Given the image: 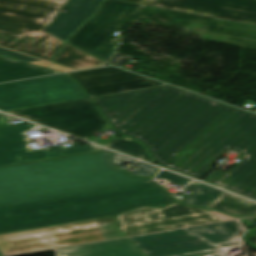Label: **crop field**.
Wrapping results in <instances>:
<instances>
[{
  "label": "crop field",
  "instance_id": "obj_1",
  "mask_svg": "<svg viewBox=\"0 0 256 256\" xmlns=\"http://www.w3.org/2000/svg\"><path fill=\"white\" fill-rule=\"evenodd\" d=\"M120 134L161 166L200 180L229 149L242 160L204 182L256 200V115L169 85L93 97Z\"/></svg>",
  "mask_w": 256,
  "mask_h": 256
},
{
  "label": "crop field",
  "instance_id": "obj_2",
  "mask_svg": "<svg viewBox=\"0 0 256 256\" xmlns=\"http://www.w3.org/2000/svg\"><path fill=\"white\" fill-rule=\"evenodd\" d=\"M172 201L151 179L114 167L109 151L0 168V233Z\"/></svg>",
  "mask_w": 256,
  "mask_h": 256
},
{
  "label": "crop field",
  "instance_id": "obj_3",
  "mask_svg": "<svg viewBox=\"0 0 256 256\" xmlns=\"http://www.w3.org/2000/svg\"><path fill=\"white\" fill-rule=\"evenodd\" d=\"M66 1L0 0V46L52 61L64 42L43 31Z\"/></svg>",
  "mask_w": 256,
  "mask_h": 256
},
{
  "label": "crop field",
  "instance_id": "obj_4",
  "mask_svg": "<svg viewBox=\"0 0 256 256\" xmlns=\"http://www.w3.org/2000/svg\"><path fill=\"white\" fill-rule=\"evenodd\" d=\"M236 221L129 238L146 256H225L239 246Z\"/></svg>",
  "mask_w": 256,
  "mask_h": 256
},
{
  "label": "crop field",
  "instance_id": "obj_5",
  "mask_svg": "<svg viewBox=\"0 0 256 256\" xmlns=\"http://www.w3.org/2000/svg\"><path fill=\"white\" fill-rule=\"evenodd\" d=\"M115 217L0 234L2 256L122 237Z\"/></svg>",
  "mask_w": 256,
  "mask_h": 256
},
{
  "label": "crop field",
  "instance_id": "obj_6",
  "mask_svg": "<svg viewBox=\"0 0 256 256\" xmlns=\"http://www.w3.org/2000/svg\"><path fill=\"white\" fill-rule=\"evenodd\" d=\"M8 113L70 133L85 140L108 125L90 99L8 111Z\"/></svg>",
  "mask_w": 256,
  "mask_h": 256
},
{
  "label": "crop field",
  "instance_id": "obj_7",
  "mask_svg": "<svg viewBox=\"0 0 256 256\" xmlns=\"http://www.w3.org/2000/svg\"><path fill=\"white\" fill-rule=\"evenodd\" d=\"M144 5L106 0L94 18L83 25L68 43L108 62L117 46L108 43L114 31Z\"/></svg>",
  "mask_w": 256,
  "mask_h": 256
},
{
  "label": "crop field",
  "instance_id": "obj_8",
  "mask_svg": "<svg viewBox=\"0 0 256 256\" xmlns=\"http://www.w3.org/2000/svg\"><path fill=\"white\" fill-rule=\"evenodd\" d=\"M84 96L86 95L75 81L63 74L53 75L0 84V110H12Z\"/></svg>",
  "mask_w": 256,
  "mask_h": 256
},
{
  "label": "crop field",
  "instance_id": "obj_9",
  "mask_svg": "<svg viewBox=\"0 0 256 256\" xmlns=\"http://www.w3.org/2000/svg\"><path fill=\"white\" fill-rule=\"evenodd\" d=\"M117 218L118 227L126 236L219 221L204 209L179 203L164 209L143 207Z\"/></svg>",
  "mask_w": 256,
  "mask_h": 256
},
{
  "label": "crop field",
  "instance_id": "obj_10",
  "mask_svg": "<svg viewBox=\"0 0 256 256\" xmlns=\"http://www.w3.org/2000/svg\"><path fill=\"white\" fill-rule=\"evenodd\" d=\"M13 119L0 113V166L102 149L88 144L64 149L55 146L33 150L26 131L43 127L28 122L10 124Z\"/></svg>",
  "mask_w": 256,
  "mask_h": 256
},
{
  "label": "crop field",
  "instance_id": "obj_11",
  "mask_svg": "<svg viewBox=\"0 0 256 256\" xmlns=\"http://www.w3.org/2000/svg\"><path fill=\"white\" fill-rule=\"evenodd\" d=\"M256 25V0H122Z\"/></svg>",
  "mask_w": 256,
  "mask_h": 256
},
{
  "label": "crop field",
  "instance_id": "obj_12",
  "mask_svg": "<svg viewBox=\"0 0 256 256\" xmlns=\"http://www.w3.org/2000/svg\"><path fill=\"white\" fill-rule=\"evenodd\" d=\"M76 79L90 96L164 85L155 80L113 66L67 74Z\"/></svg>",
  "mask_w": 256,
  "mask_h": 256
},
{
  "label": "crop field",
  "instance_id": "obj_13",
  "mask_svg": "<svg viewBox=\"0 0 256 256\" xmlns=\"http://www.w3.org/2000/svg\"><path fill=\"white\" fill-rule=\"evenodd\" d=\"M103 0H68L62 9L66 13L59 12L45 32L67 41L69 36L99 8Z\"/></svg>",
  "mask_w": 256,
  "mask_h": 256
},
{
  "label": "crop field",
  "instance_id": "obj_14",
  "mask_svg": "<svg viewBox=\"0 0 256 256\" xmlns=\"http://www.w3.org/2000/svg\"><path fill=\"white\" fill-rule=\"evenodd\" d=\"M58 256H142L126 238L56 249Z\"/></svg>",
  "mask_w": 256,
  "mask_h": 256
},
{
  "label": "crop field",
  "instance_id": "obj_15",
  "mask_svg": "<svg viewBox=\"0 0 256 256\" xmlns=\"http://www.w3.org/2000/svg\"><path fill=\"white\" fill-rule=\"evenodd\" d=\"M52 73H58V71L0 56V82Z\"/></svg>",
  "mask_w": 256,
  "mask_h": 256
},
{
  "label": "crop field",
  "instance_id": "obj_16",
  "mask_svg": "<svg viewBox=\"0 0 256 256\" xmlns=\"http://www.w3.org/2000/svg\"><path fill=\"white\" fill-rule=\"evenodd\" d=\"M207 208L219 210L231 216L256 214V203L226 192L209 204Z\"/></svg>",
  "mask_w": 256,
  "mask_h": 256
},
{
  "label": "crop field",
  "instance_id": "obj_17",
  "mask_svg": "<svg viewBox=\"0 0 256 256\" xmlns=\"http://www.w3.org/2000/svg\"><path fill=\"white\" fill-rule=\"evenodd\" d=\"M54 62L74 69L106 63L68 43L63 47L61 53L56 57Z\"/></svg>",
  "mask_w": 256,
  "mask_h": 256
},
{
  "label": "crop field",
  "instance_id": "obj_18",
  "mask_svg": "<svg viewBox=\"0 0 256 256\" xmlns=\"http://www.w3.org/2000/svg\"><path fill=\"white\" fill-rule=\"evenodd\" d=\"M185 189L193 190L195 192L180 202L203 208H206L209 203L223 193L221 190L215 189L200 182H193Z\"/></svg>",
  "mask_w": 256,
  "mask_h": 256
},
{
  "label": "crop field",
  "instance_id": "obj_19",
  "mask_svg": "<svg viewBox=\"0 0 256 256\" xmlns=\"http://www.w3.org/2000/svg\"><path fill=\"white\" fill-rule=\"evenodd\" d=\"M104 147L119 151L121 153L146 160L150 163L153 161L146 155L145 148L138 142L125 138L123 140L114 138L111 142Z\"/></svg>",
  "mask_w": 256,
  "mask_h": 256
},
{
  "label": "crop field",
  "instance_id": "obj_20",
  "mask_svg": "<svg viewBox=\"0 0 256 256\" xmlns=\"http://www.w3.org/2000/svg\"><path fill=\"white\" fill-rule=\"evenodd\" d=\"M137 160L131 159L129 157L123 156L121 154L115 153L113 152V160L112 162L117 165L119 168H122L124 170H126L121 164L124 162H131L134 163ZM135 165L139 166L138 168L132 170L130 173L132 175H139V176H147V177H152L155 172L158 170V168L153 167L151 165H148L146 163H143L141 161H139L138 163H136Z\"/></svg>",
  "mask_w": 256,
  "mask_h": 256
},
{
  "label": "crop field",
  "instance_id": "obj_21",
  "mask_svg": "<svg viewBox=\"0 0 256 256\" xmlns=\"http://www.w3.org/2000/svg\"><path fill=\"white\" fill-rule=\"evenodd\" d=\"M157 179H163L166 180L169 183L178 185V186H185L187 183H189L190 181H192L191 179H188L186 177L168 172V171H161L157 176Z\"/></svg>",
  "mask_w": 256,
  "mask_h": 256
},
{
  "label": "crop field",
  "instance_id": "obj_22",
  "mask_svg": "<svg viewBox=\"0 0 256 256\" xmlns=\"http://www.w3.org/2000/svg\"><path fill=\"white\" fill-rule=\"evenodd\" d=\"M0 54L9 56V57H13V58H17V59H20L25 62L38 61L37 59L31 58L26 55H23V54H20V53H17V52H14V51H11V50H8L5 48H1V47H0Z\"/></svg>",
  "mask_w": 256,
  "mask_h": 256
},
{
  "label": "crop field",
  "instance_id": "obj_23",
  "mask_svg": "<svg viewBox=\"0 0 256 256\" xmlns=\"http://www.w3.org/2000/svg\"><path fill=\"white\" fill-rule=\"evenodd\" d=\"M130 58V56H127L125 54L116 52L115 55L112 57V59L109 61V64H113L119 67H122L124 62Z\"/></svg>",
  "mask_w": 256,
  "mask_h": 256
},
{
  "label": "crop field",
  "instance_id": "obj_24",
  "mask_svg": "<svg viewBox=\"0 0 256 256\" xmlns=\"http://www.w3.org/2000/svg\"><path fill=\"white\" fill-rule=\"evenodd\" d=\"M208 212H210L212 215H214L220 221L235 219V218H241V217H231V216H228V215H225V214H222V213H219V212H214V211H208Z\"/></svg>",
  "mask_w": 256,
  "mask_h": 256
},
{
  "label": "crop field",
  "instance_id": "obj_25",
  "mask_svg": "<svg viewBox=\"0 0 256 256\" xmlns=\"http://www.w3.org/2000/svg\"><path fill=\"white\" fill-rule=\"evenodd\" d=\"M49 68L56 69V70H59V71H62V72L71 71L70 69H67V68H64V67H61V66H58V65H54V64L49 66Z\"/></svg>",
  "mask_w": 256,
  "mask_h": 256
},
{
  "label": "crop field",
  "instance_id": "obj_26",
  "mask_svg": "<svg viewBox=\"0 0 256 256\" xmlns=\"http://www.w3.org/2000/svg\"><path fill=\"white\" fill-rule=\"evenodd\" d=\"M30 63L40 65V66H44V67H47L48 65H50V63L45 62V61L30 62Z\"/></svg>",
  "mask_w": 256,
  "mask_h": 256
},
{
  "label": "crop field",
  "instance_id": "obj_27",
  "mask_svg": "<svg viewBox=\"0 0 256 256\" xmlns=\"http://www.w3.org/2000/svg\"><path fill=\"white\" fill-rule=\"evenodd\" d=\"M50 251H53V250H50ZM44 252H48V251H44ZM39 253V252H38ZM33 254V253H32ZM27 255V254H26Z\"/></svg>",
  "mask_w": 256,
  "mask_h": 256
},
{
  "label": "crop field",
  "instance_id": "obj_28",
  "mask_svg": "<svg viewBox=\"0 0 256 256\" xmlns=\"http://www.w3.org/2000/svg\"><path fill=\"white\" fill-rule=\"evenodd\" d=\"M102 66V65H101ZM96 67H98V66H96ZM90 68H92V67H90ZM84 69H86V68H84ZM78 70H80V69H78Z\"/></svg>",
  "mask_w": 256,
  "mask_h": 256
}]
</instances>
